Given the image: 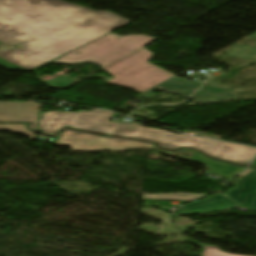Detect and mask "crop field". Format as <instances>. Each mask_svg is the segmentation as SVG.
I'll list each match as a JSON object with an SVG mask.
<instances>
[{"label": "crop field", "mask_w": 256, "mask_h": 256, "mask_svg": "<svg viewBox=\"0 0 256 256\" xmlns=\"http://www.w3.org/2000/svg\"><path fill=\"white\" fill-rule=\"evenodd\" d=\"M129 22L58 0H0V43L23 46L1 50L0 64L33 70Z\"/></svg>", "instance_id": "1"}, {"label": "crop field", "mask_w": 256, "mask_h": 256, "mask_svg": "<svg viewBox=\"0 0 256 256\" xmlns=\"http://www.w3.org/2000/svg\"><path fill=\"white\" fill-rule=\"evenodd\" d=\"M112 115L111 112L99 110L79 112L76 113L69 127L154 141L159 143L162 148L167 149H176L182 146L196 148L212 157L246 165L256 154V149L210 139L176 135L162 130L145 128L137 124L108 122Z\"/></svg>", "instance_id": "2"}, {"label": "crop field", "mask_w": 256, "mask_h": 256, "mask_svg": "<svg viewBox=\"0 0 256 256\" xmlns=\"http://www.w3.org/2000/svg\"><path fill=\"white\" fill-rule=\"evenodd\" d=\"M157 39L145 36L119 37L109 33L51 62L76 64L89 62L103 68Z\"/></svg>", "instance_id": "3"}, {"label": "crop field", "mask_w": 256, "mask_h": 256, "mask_svg": "<svg viewBox=\"0 0 256 256\" xmlns=\"http://www.w3.org/2000/svg\"><path fill=\"white\" fill-rule=\"evenodd\" d=\"M152 52L142 48L101 69L114 76L106 83L134 89L140 93L170 79L174 75L146 61Z\"/></svg>", "instance_id": "4"}, {"label": "crop field", "mask_w": 256, "mask_h": 256, "mask_svg": "<svg viewBox=\"0 0 256 256\" xmlns=\"http://www.w3.org/2000/svg\"><path fill=\"white\" fill-rule=\"evenodd\" d=\"M56 145L71 147V151L98 152V151H125L131 149H152L154 144L120 139L115 137H102L65 129Z\"/></svg>", "instance_id": "5"}, {"label": "crop field", "mask_w": 256, "mask_h": 256, "mask_svg": "<svg viewBox=\"0 0 256 256\" xmlns=\"http://www.w3.org/2000/svg\"><path fill=\"white\" fill-rule=\"evenodd\" d=\"M39 106L32 102H0V121H30V129L35 130Z\"/></svg>", "instance_id": "6"}, {"label": "crop field", "mask_w": 256, "mask_h": 256, "mask_svg": "<svg viewBox=\"0 0 256 256\" xmlns=\"http://www.w3.org/2000/svg\"><path fill=\"white\" fill-rule=\"evenodd\" d=\"M224 195L256 211V170L239 180L237 186Z\"/></svg>", "instance_id": "7"}, {"label": "crop field", "mask_w": 256, "mask_h": 256, "mask_svg": "<svg viewBox=\"0 0 256 256\" xmlns=\"http://www.w3.org/2000/svg\"><path fill=\"white\" fill-rule=\"evenodd\" d=\"M238 207L222 195L206 198L193 204L185 205L178 212V215L215 212Z\"/></svg>", "instance_id": "8"}, {"label": "crop field", "mask_w": 256, "mask_h": 256, "mask_svg": "<svg viewBox=\"0 0 256 256\" xmlns=\"http://www.w3.org/2000/svg\"><path fill=\"white\" fill-rule=\"evenodd\" d=\"M190 161L206 165L209 169V172L223 179H228L231 176L245 169L244 166L234 165L228 162L211 159L199 153L198 151L193 155Z\"/></svg>", "instance_id": "9"}, {"label": "crop field", "mask_w": 256, "mask_h": 256, "mask_svg": "<svg viewBox=\"0 0 256 256\" xmlns=\"http://www.w3.org/2000/svg\"><path fill=\"white\" fill-rule=\"evenodd\" d=\"M174 77V76H173ZM172 78V77H171ZM201 83H195L181 78L174 77L144 93L142 96L150 97L153 95L152 91H164L175 93L184 97H189L200 85Z\"/></svg>", "instance_id": "10"}, {"label": "crop field", "mask_w": 256, "mask_h": 256, "mask_svg": "<svg viewBox=\"0 0 256 256\" xmlns=\"http://www.w3.org/2000/svg\"><path fill=\"white\" fill-rule=\"evenodd\" d=\"M75 113L49 111L42 113L39 123V132L54 134L62 127L68 126Z\"/></svg>", "instance_id": "11"}, {"label": "crop field", "mask_w": 256, "mask_h": 256, "mask_svg": "<svg viewBox=\"0 0 256 256\" xmlns=\"http://www.w3.org/2000/svg\"><path fill=\"white\" fill-rule=\"evenodd\" d=\"M235 94L231 90L212 88L202 85L200 90L195 93L190 100L196 103H211L215 101H228L235 99Z\"/></svg>", "instance_id": "12"}, {"label": "crop field", "mask_w": 256, "mask_h": 256, "mask_svg": "<svg viewBox=\"0 0 256 256\" xmlns=\"http://www.w3.org/2000/svg\"><path fill=\"white\" fill-rule=\"evenodd\" d=\"M205 194H142L141 198L191 201Z\"/></svg>", "instance_id": "13"}, {"label": "crop field", "mask_w": 256, "mask_h": 256, "mask_svg": "<svg viewBox=\"0 0 256 256\" xmlns=\"http://www.w3.org/2000/svg\"><path fill=\"white\" fill-rule=\"evenodd\" d=\"M239 54L242 55L239 58L247 60V59L251 58L254 54H256V49L248 47V46H235V47L227 50V52H226V55H228L230 57H236Z\"/></svg>", "instance_id": "14"}, {"label": "crop field", "mask_w": 256, "mask_h": 256, "mask_svg": "<svg viewBox=\"0 0 256 256\" xmlns=\"http://www.w3.org/2000/svg\"><path fill=\"white\" fill-rule=\"evenodd\" d=\"M25 125L26 124H3V125H0V130H9L15 133L24 134L33 140L35 134L28 131L25 128Z\"/></svg>", "instance_id": "15"}, {"label": "crop field", "mask_w": 256, "mask_h": 256, "mask_svg": "<svg viewBox=\"0 0 256 256\" xmlns=\"http://www.w3.org/2000/svg\"><path fill=\"white\" fill-rule=\"evenodd\" d=\"M75 81L63 76V75H60L52 80H49V81H45L44 83L48 84V85H51L55 88H65L71 84H73Z\"/></svg>", "instance_id": "16"}, {"label": "crop field", "mask_w": 256, "mask_h": 256, "mask_svg": "<svg viewBox=\"0 0 256 256\" xmlns=\"http://www.w3.org/2000/svg\"><path fill=\"white\" fill-rule=\"evenodd\" d=\"M202 246L205 248V251L202 254V256H241V255H234V254L222 252L219 250L218 247L206 246V245H202Z\"/></svg>", "instance_id": "17"}, {"label": "crop field", "mask_w": 256, "mask_h": 256, "mask_svg": "<svg viewBox=\"0 0 256 256\" xmlns=\"http://www.w3.org/2000/svg\"><path fill=\"white\" fill-rule=\"evenodd\" d=\"M250 166H256V158H255V160L252 162V164Z\"/></svg>", "instance_id": "18"}, {"label": "crop field", "mask_w": 256, "mask_h": 256, "mask_svg": "<svg viewBox=\"0 0 256 256\" xmlns=\"http://www.w3.org/2000/svg\"><path fill=\"white\" fill-rule=\"evenodd\" d=\"M250 36H254V37H256V33H254V34H252V35H250Z\"/></svg>", "instance_id": "19"}, {"label": "crop field", "mask_w": 256, "mask_h": 256, "mask_svg": "<svg viewBox=\"0 0 256 256\" xmlns=\"http://www.w3.org/2000/svg\"><path fill=\"white\" fill-rule=\"evenodd\" d=\"M254 60L256 61V57L254 58Z\"/></svg>", "instance_id": "20"}]
</instances>
